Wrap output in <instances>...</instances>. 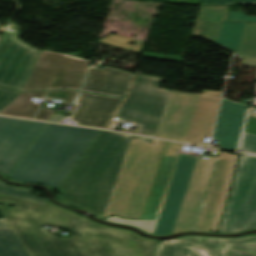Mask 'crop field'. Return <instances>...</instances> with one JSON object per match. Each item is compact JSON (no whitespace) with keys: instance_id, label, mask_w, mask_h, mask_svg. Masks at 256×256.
<instances>
[{"instance_id":"crop-field-4","label":"crop field","mask_w":256,"mask_h":256,"mask_svg":"<svg viewBox=\"0 0 256 256\" xmlns=\"http://www.w3.org/2000/svg\"><path fill=\"white\" fill-rule=\"evenodd\" d=\"M98 132L47 123L8 179L57 189Z\"/></svg>"},{"instance_id":"crop-field-6","label":"crop field","mask_w":256,"mask_h":256,"mask_svg":"<svg viewBox=\"0 0 256 256\" xmlns=\"http://www.w3.org/2000/svg\"><path fill=\"white\" fill-rule=\"evenodd\" d=\"M222 92H172L156 137L203 145L211 134Z\"/></svg>"},{"instance_id":"crop-field-26","label":"crop field","mask_w":256,"mask_h":256,"mask_svg":"<svg viewBox=\"0 0 256 256\" xmlns=\"http://www.w3.org/2000/svg\"><path fill=\"white\" fill-rule=\"evenodd\" d=\"M227 20L256 22V17H247L243 12H229Z\"/></svg>"},{"instance_id":"crop-field-3","label":"crop field","mask_w":256,"mask_h":256,"mask_svg":"<svg viewBox=\"0 0 256 256\" xmlns=\"http://www.w3.org/2000/svg\"><path fill=\"white\" fill-rule=\"evenodd\" d=\"M132 138L143 139L100 130L58 187L62 195L56 199L103 217Z\"/></svg>"},{"instance_id":"crop-field-7","label":"crop field","mask_w":256,"mask_h":256,"mask_svg":"<svg viewBox=\"0 0 256 256\" xmlns=\"http://www.w3.org/2000/svg\"><path fill=\"white\" fill-rule=\"evenodd\" d=\"M162 79L136 76L130 95L116 118L133 121L139 127L135 134L155 137L170 90L158 88Z\"/></svg>"},{"instance_id":"crop-field-15","label":"crop field","mask_w":256,"mask_h":256,"mask_svg":"<svg viewBox=\"0 0 256 256\" xmlns=\"http://www.w3.org/2000/svg\"><path fill=\"white\" fill-rule=\"evenodd\" d=\"M215 43L244 59V64L256 67V24L224 22Z\"/></svg>"},{"instance_id":"crop-field-31","label":"crop field","mask_w":256,"mask_h":256,"mask_svg":"<svg viewBox=\"0 0 256 256\" xmlns=\"http://www.w3.org/2000/svg\"><path fill=\"white\" fill-rule=\"evenodd\" d=\"M74 242V241H73ZM76 243V242H75ZM79 246H80V248L82 249L84 246H85V243H77ZM82 251H83V249H82ZM84 252V251H83ZM85 254V253H84ZM86 255V254H85Z\"/></svg>"},{"instance_id":"crop-field-28","label":"crop field","mask_w":256,"mask_h":256,"mask_svg":"<svg viewBox=\"0 0 256 256\" xmlns=\"http://www.w3.org/2000/svg\"><path fill=\"white\" fill-rule=\"evenodd\" d=\"M53 113H54L53 110H47V109L40 108L35 119L42 120V121H49V119L51 118Z\"/></svg>"},{"instance_id":"crop-field-29","label":"crop field","mask_w":256,"mask_h":256,"mask_svg":"<svg viewBox=\"0 0 256 256\" xmlns=\"http://www.w3.org/2000/svg\"><path fill=\"white\" fill-rule=\"evenodd\" d=\"M226 256H256V255L239 253V252H227Z\"/></svg>"},{"instance_id":"crop-field-13","label":"crop field","mask_w":256,"mask_h":256,"mask_svg":"<svg viewBox=\"0 0 256 256\" xmlns=\"http://www.w3.org/2000/svg\"><path fill=\"white\" fill-rule=\"evenodd\" d=\"M235 157V155L226 152H219L205 202L196 225V231L212 232L215 217L220 207V201L225 191L226 182L229 178Z\"/></svg>"},{"instance_id":"crop-field-18","label":"crop field","mask_w":256,"mask_h":256,"mask_svg":"<svg viewBox=\"0 0 256 256\" xmlns=\"http://www.w3.org/2000/svg\"><path fill=\"white\" fill-rule=\"evenodd\" d=\"M46 91L20 93V96L12 101L0 115L15 116L20 118L32 119L39 106L33 104V98H43Z\"/></svg>"},{"instance_id":"crop-field-10","label":"crop field","mask_w":256,"mask_h":256,"mask_svg":"<svg viewBox=\"0 0 256 256\" xmlns=\"http://www.w3.org/2000/svg\"><path fill=\"white\" fill-rule=\"evenodd\" d=\"M256 252V234L236 238L182 237L158 243L155 256H223V251Z\"/></svg>"},{"instance_id":"crop-field-22","label":"crop field","mask_w":256,"mask_h":256,"mask_svg":"<svg viewBox=\"0 0 256 256\" xmlns=\"http://www.w3.org/2000/svg\"><path fill=\"white\" fill-rule=\"evenodd\" d=\"M76 94L77 92L69 90L48 91L45 98H58L63 100L62 104L71 105Z\"/></svg>"},{"instance_id":"crop-field-23","label":"crop field","mask_w":256,"mask_h":256,"mask_svg":"<svg viewBox=\"0 0 256 256\" xmlns=\"http://www.w3.org/2000/svg\"><path fill=\"white\" fill-rule=\"evenodd\" d=\"M240 151L256 153V135L243 133Z\"/></svg>"},{"instance_id":"crop-field-9","label":"crop field","mask_w":256,"mask_h":256,"mask_svg":"<svg viewBox=\"0 0 256 256\" xmlns=\"http://www.w3.org/2000/svg\"><path fill=\"white\" fill-rule=\"evenodd\" d=\"M90 62L42 50L22 91L56 88L79 90Z\"/></svg>"},{"instance_id":"crop-field-21","label":"crop field","mask_w":256,"mask_h":256,"mask_svg":"<svg viewBox=\"0 0 256 256\" xmlns=\"http://www.w3.org/2000/svg\"><path fill=\"white\" fill-rule=\"evenodd\" d=\"M33 190L34 189L9 186L0 181V193L35 201L41 204L48 202L47 199L30 195Z\"/></svg>"},{"instance_id":"crop-field-11","label":"crop field","mask_w":256,"mask_h":256,"mask_svg":"<svg viewBox=\"0 0 256 256\" xmlns=\"http://www.w3.org/2000/svg\"><path fill=\"white\" fill-rule=\"evenodd\" d=\"M18 33L3 32L0 39V85L21 91L39 50L17 39Z\"/></svg>"},{"instance_id":"crop-field-16","label":"crop field","mask_w":256,"mask_h":256,"mask_svg":"<svg viewBox=\"0 0 256 256\" xmlns=\"http://www.w3.org/2000/svg\"><path fill=\"white\" fill-rule=\"evenodd\" d=\"M247 110L246 105L232 103L222 99L219 114L215 124L213 139H216L223 149H237V142Z\"/></svg>"},{"instance_id":"crop-field-14","label":"crop field","mask_w":256,"mask_h":256,"mask_svg":"<svg viewBox=\"0 0 256 256\" xmlns=\"http://www.w3.org/2000/svg\"><path fill=\"white\" fill-rule=\"evenodd\" d=\"M122 99L93 94H79L70 115L76 125L107 129Z\"/></svg>"},{"instance_id":"crop-field-25","label":"crop field","mask_w":256,"mask_h":256,"mask_svg":"<svg viewBox=\"0 0 256 256\" xmlns=\"http://www.w3.org/2000/svg\"><path fill=\"white\" fill-rule=\"evenodd\" d=\"M18 95L19 92L0 88V111Z\"/></svg>"},{"instance_id":"crop-field-8","label":"crop field","mask_w":256,"mask_h":256,"mask_svg":"<svg viewBox=\"0 0 256 256\" xmlns=\"http://www.w3.org/2000/svg\"><path fill=\"white\" fill-rule=\"evenodd\" d=\"M256 228V156L241 154L219 233Z\"/></svg>"},{"instance_id":"crop-field-20","label":"crop field","mask_w":256,"mask_h":256,"mask_svg":"<svg viewBox=\"0 0 256 256\" xmlns=\"http://www.w3.org/2000/svg\"><path fill=\"white\" fill-rule=\"evenodd\" d=\"M129 41L136 42L135 46L128 44ZM99 42H102L107 45L119 47L135 53H140L143 47L142 40L118 36V35H112V34H109L107 37L103 38Z\"/></svg>"},{"instance_id":"crop-field-12","label":"crop field","mask_w":256,"mask_h":256,"mask_svg":"<svg viewBox=\"0 0 256 256\" xmlns=\"http://www.w3.org/2000/svg\"><path fill=\"white\" fill-rule=\"evenodd\" d=\"M45 125L0 117V172L6 179Z\"/></svg>"},{"instance_id":"crop-field-32","label":"crop field","mask_w":256,"mask_h":256,"mask_svg":"<svg viewBox=\"0 0 256 256\" xmlns=\"http://www.w3.org/2000/svg\"><path fill=\"white\" fill-rule=\"evenodd\" d=\"M143 141H146V142L152 143V142H153V139L144 138V139H143Z\"/></svg>"},{"instance_id":"crop-field-24","label":"crop field","mask_w":256,"mask_h":256,"mask_svg":"<svg viewBox=\"0 0 256 256\" xmlns=\"http://www.w3.org/2000/svg\"><path fill=\"white\" fill-rule=\"evenodd\" d=\"M238 4H255L256 0H204L202 5H238Z\"/></svg>"},{"instance_id":"crop-field-19","label":"crop field","mask_w":256,"mask_h":256,"mask_svg":"<svg viewBox=\"0 0 256 256\" xmlns=\"http://www.w3.org/2000/svg\"><path fill=\"white\" fill-rule=\"evenodd\" d=\"M0 256H28L5 219H0Z\"/></svg>"},{"instance_id":"crop-field-1","label":"crop field","mask_w":256,"mask_h":256,"mask_svg":"<svg viewBox=\"0 0 256 256\" xmlns=\"http://www.w3.org/2000/svg\"><path fill=\"white\" fill-rule=\"evenodd\" d=\"M0 212L29 256H85L79 246L42 230L50 225L85 242L87 256H153L157 241L96 224L48 202L44 205L0 194ZM9 205H14L10 208Z\"/></svg>"},{"instance_id":"crop-field-2","label":"crop field","mask_w":256,"mask_h":256,"mask_svg":"<svg viewBox=\"0 0 256 256\" xmlns=\"http://www.w3.org/2000/svg\"><path fill=\"white\" fill-rule=\"evenodd\" d=\"M182 144L167 142L141 220L112 216L104 221L154 235L193 231L217 157L179 155Z\"/></svg>"},{"instance_id":"crop-field-27","label":"crop field","mask_w":256,"mask_h":256,"mask_svg":"<svg viewBox=\"0 0 256 256\" xmlns=\"http://www.w3.org/2000/svg\"><path fill=\"white\" fill-rule=\"evenodd\" d=\"M238 155H239V154H237L236 160H237V158H238ZM236 160H235V163H234V165H233V167H232L231 176H230V178H229V180H228V183H227V188H226V191H225V193H224L223 200H222V202H221V207H220V209H219V211H218V215H217V218H216L215 225H214V227H213V231H214V230H217V226H218V222H219V220H220V215H221V212H222L223 204H224V202H225V199H226V196H227V193H228V188H229V186H230V181H231V179H232L233 172H234V170H235Z\"/></svg>"},{"instance_id":"crop-field-17","label":"crop field","mask_w":256,"mask_h":256,"mask_svg":"<svg viewBox=\"0 0 256 256\" xmlns=\"http://www.w3.org/2000/svg\"><path fill=\"white\" fill-rule=\"evenodd\" d=\"M132 78L133 74L125 71L90 67L82 91L125 97Z\"/></svg>"},{"instance_id":"crop-field-30","label":"crop field","mask_w":256,"mask_h":256,"mask_svg":"<svg viewBox=\"0 0 256 256\" xmlns=\"http://www.w3.org/2000/svg\"><path fill=\"white\" fill-rule=\"evenodd\" d=\"M61 118H62L61 115H56V114H54V115L52 116V118L50 119V121L60 122Z\"/></svg>"},{"instance_id":"crop-field-5","label":"crop field","mask_w":256,"mask_h":256,"mask_svg":"<svg viewBox=\"0 0 256 256\" xmlns=\"http://www.w3.org/2000/svg\"><path fill=\"white\" fill-rule=\"evenodd\" d=\"M164 143L155 140L151 145L132 139L105 217L140 218Z\"/></svg>"}]
</instances>
